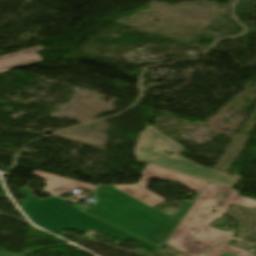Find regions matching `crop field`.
I'll return each mask as SVG.
<instances>
[{
	"label": "crop field",
	"instance_id": "1",
	"mask_svg": "<svg viewBox=\"0 0 256 256\" xmlns=\"http://www.w3.org/2000/svg\"><path fill=\"white\" fill-rule=\"evenodd\" d=\"M152 178L179 181L198 193L206 184V181L150 165L143 172L138 184L99 186L93 191L99 201L97 205L85 210L75 205L71 206L157 246H162L193 201L186 200L174 219L151 207L164 200L144 189Z\"/></svg>",
	"mask_w": 256,
	"mask_h": 256
},
{
	"label": "crop field",
	"instance_id": "2",
	"mask_svg": "<svg viewBox=\"0 0 256 256\" xmlns=\"http://www.w3.org/2000/svg\"><path fill=\"white\" fill-rule=\"evenodd\" d=\"M238 192L208 183L166 244L188 256H198L233 235L232 230L224 232L206 225L224 215L231 203L256 208L255 200L236 196ZM206 206L208 209L204 210ZM211 210H217L216 214ZM189 218L193 220L189 222Z\"/></svg>",
	"mask_w": 256,
	"mask_h": 256
},
{
	"label": "crop field",
	"instance_id": "3",
	"mask_svg": "<svg viewBox=\"0 0 256 256\" xmlns=\"http://www.w3.org/2000/svg\"><path fill=\"white\" fill-rule=\"evenodd\" d=\"M21 190L28 197L21 206L28 213V217L35 224L55 234L63 229L75 228L84 232L92 228L100 233H108L117 239H133L156 252L160 250V248L70 207V204L65 202L66 200L55 196L40 200L31 196L32 193L28 187Z\"/></svg>",
	"mask_w": 256,
	"mask_h": 256
},
{
	"label": "crop field",
	"instance_id": "4",
	"mask_svg": "<svg viewBox=\"0 0 256 256\" xmlns=\"http://www.w3.org/2000/svg\"><path fill=\"white\" fill-rule=\"evenodd\" d=\"M166 136V135H165ZM161 134L153 126H147L139 137L135 155L139 161L152 164L206 181L231 187L241 179L233 175L231 178L219 171L200 167L196 163L181 157L184 147ZM172 150V156L164 153Z\"/></svg>",
	"mask_w": 256,
	"mask_h": 256
},
{
	"label": "crop field",
	"instance_id": "5",
	"mask_svg": "<svg viewBox=\"0 0 256 256\" xmlns=\"http://www.w3.org/2000/svg\"><path fill=\"white\" fill-rule=\"evenodd\" d=\"M41 50L45 49L39 46L0 57V72L41 62V57L36 53Z\"/></svg>",
	"mask_w": 256,
	"mask_h": 256
},
{
	"label": "crop field",
	"instance_id": "6",
	"mask_svg": "<svg viewBox=\"0 0 256 256\" xmlns=\"http://www.w3.org/2000/svg\"><path fill=\"white\" fill-rule=\"evenodd\" d=\"M33 175L45 179L47 192L53 195H62L64 194L63 191H72L71 187L74 189L81 187L89 190H93L96 187L39 171H34Z\"/></svg>",
	"mask_w": 256,
	"mask_h": 256
},
{
	"label": "crop field",
	"instance_id": "7",
	"mask_svg": "<svg viewBox=\"0 0 256 256\" xmlns=\"http://www.w3.org/2000/svg\"><path fill=\"white\" fill-rule=\"evenodd\" d=\"M205 256H255L247 251L238 249L228 243H225Z\"/></svg>",
	"mask_w": 256,
	"mask_h": 256
}]
</instances>
